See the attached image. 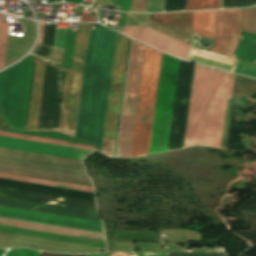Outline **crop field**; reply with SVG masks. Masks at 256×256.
Returning a JSON list of instances; mask_svg holds the SVG:
<instances>
[{
	"instance_id": "obj_9",
	"label": "crop field",
	"mask_w": 256,
	"mask_h": 256,
	"mask_svg": "<svg viewBox=\"0 0 256 256\" xmlns=\"http://www.w3.org/2000/svg\"><path fill=\"white\" fill-rule=\"evenodd\" d=\"M129 38L118 33L101 152L112 157Z\"/></svg>"
},
{
	"instance_id": "obj_22",
	"label": "crop field",
	"mask_w": 256,
	"mask_h": 256,
	"mask_svg": "<svg viewBox=\"0 0 256 256\" xmlns=\"http://www.w3.org/2000/svg\"><path fill=\"white\" fill-rule=\"evenodd\" d=\"M234 57L255 63L256 40L241 37V41Z\"/></svg>"
},
{
	"instance_id": "obj_3",
	"label": "crop field",
	"mask_w": 256,
	"mask_h": 256,
	"mask_svg": "<svg viewBox=\"0 0 256 256\" xmlns=\"http://www.w3.org/2000/svg\"><path fill=\"white\" fill-rule=\"evenodd\" d=\"M45 62L37 58L26 131L74 137L83 75L51 62L47 63L57 66V70L50 126L49 130H37Z\"/></svg>"
},
{
	"instance_id": "obj_17",
	"label": "crop field",
	"mask_w": 256,
	"mask_h": 256,
	"mask_svg": "<svg viewBox=\"0 0 256 256\" xmlns=\"http://www.w3.org/2000/svg\"><path fill=\"white\" fill-rule=\"evenodd\" d=\"M193 12L175 14H150L149 20L191 33Z\"/></svg>"
},
{
	"instance_id": "obj_36",
	"label": "crop field",
	"mask_w": 256,
	"mask_h": 256,
	"mask_svg": "<svg viewBox=\"0 0 256 256\" xmlns=\"http://www.w3.org/2000/svg\"><path fill=\"white\" fill-rule=\"evenodd\" d=\"M40 256H58L56 253H49V252H41ZM59 256H84V255H66V254H59Z\"/></svg>"
},
{
	"instance_id": "obj_21",
	"label": "crop field",
	"mask_w": 256,
	"mask_h": 256,
	"mask_svg": "<svg viewBox=\"0 0 256 256\" xmlns=\"http://www.w3.org/2000/svg\"><path fill=\"white\" fill-rule=\"evenodd\" d=\"M0 177L1 178H7V179H13V180H20V181H26V182H33V183H39V184L52 185V186L65 187V188H71V189L93 192L92 187L83 186V185H76V184L50 181V180H44V179H38V178H31V177L18 176V175H12V174H5V173H0Z\"/></svg>"
},
{
	"instance_id": "obj_4",
	"label": "crop field",
	"mask_w": 256,
	"mask_h": 256,
	"mask_svg": "<svg viewBox=\"0 0 256 256\" xmlns=\"http://www.w3.org/2000/svg\"><path fill=\"white\" fill-rule=\"evenodd\" d=\"M0 171L92 185L79 160L0 148Z\"/></svg>"
},
{
	"instance_id": "obj_19",
	"label": "crop field",
	"mask_w": 256,
	"mask_h": 256,
	"mask_svg": "<svg viewBox=\"0 0 256 256\" xmlns=\"http://www.w3.org/2000/svg\"><path fill=\"white\" fill-rule=\"evenodd\" d=\"M216 11L194 12L192 33L215 39Z\"/></svg>"
},
{
	"instance_id": "obj_39",
	"label": "crop field",
	"mask_w": 256,
	"mask_h": 256,
	"mask_svg": "<svg viewBox=\"0 0 256 256\" xmlns=\"http://www.w3.org/2000/svg\"><path fill=\"white\" fill-rule=\"evenodd\" d=\"M4 251H5V250H1V249H0V256L3 255Z\"/></svg>"
},
{
	"instance_id": "obj_16",
	"label": "crop field",
	"mask_w": 256,
	"mask_h": 256,
	"mask_svg": "<svg viewBox=\"0 0 256 256\" xmlns=\"http://www.w3.org/2000/svg\"><path fill=\"white\" fill-rule=\"evenodd\" d=\"M1 225L65 234L104 241L103 234L0 218Z\"/></svg>"
},
{
	"instance_id": "obj_32",
	"label": "crop field",
	"mask_w": 256,
	"mask_h": 256,
	"mask_svg": "<svg viewBox=\"0 0 256 256\" xmlns=\"http://www.w3.org/2000/svg\"><path fill=\"white\" fill-rule=\"evenodd\" d=\"M147 0H134L132 11L145 12Z\"/></svg>"
},
{
	"instance_id": "obj_2",
	"label": "crop field",
	"mask_w": 256,
	"mask_h": 256,
	"mask_svg": "<svg viewBox=\"0 0 256 256\" xmlns=\"http://www.w3.org/2000/svg\"><path fill=\"white\" fill-rule=\"evenodd\" d=\"M211 69L195 68L185 147L205 145L221 148L227 98L232 97L235 75Z\"/></svg>"
},
{
	"instance_id": "obj_7",
	"label": "crop field",
	"mask_w": 256,
	"mask_h": 256,
	"mask_svg": "<svg viewBox=\"0 0 256 256\" xmlns=\"http://www.w3.org/2000/svg\"><path fill=\"white\" fill-rule=\"evenodd\" d=\"M178 63L175 58L162 61L149 154L167 150Z\"/></svg>"
},
{
	"instance_id": "obj_11",
	"label": "crop field",
	"mask_w": 256,
	"mask_h": 256,
	"mask_svg": "<svg viewBox=\"0 0 256 256\" xmlns=\"http://www.w3.org/2000/svg\"><path fill=\"white\" fill-rule=\"evenodd\" d=\"M241 9L218 11L216 40L212 52L233 56L239 41Z\"/></svg>"
},
{
	"instance_id": "obj_27",
	"label": "crop field",
	"mask_w": 256,
	"mask_h": 256,
	"mask_svg": "<svg viewBox=\"0 0 256 256\" xmlns=\"http://www.w3.org/2000/svg\"><path fill=\"white\" fill-rule=\"evenodd\" d=\"M234 72L243 74V75L256 77V64L240 60L238 65L236 66Z\"/></svg>"
},
{
	"instance_id": "obj_6",
	"label": "crop field",
	"mask_w": 256,
	"mask_h": 256,
	"mask_svg": "<svg viewBox=\"0 0 256 256\" xmlns=\"http://www.w3.org/2000/svg\"><path fill=\"white\" fill-rule=\"evenodd\" d=\"M34 57L0 73V114L11 128L23 130Z\"/></svg>"
},
{
	"instance_id": "obj_31",
	"label": "crop field",
	"mask_w": 256,
	"mask_h": 256,
	"mask_svg": "<svg viewBox=\"0 0 256 256\" xmlns=\"http://www.w3.org/2000/svg\"><path fill=\"white\" fill-rule=\"evenodd\" d=\"M132 0H111L110 6L130 11ZM122 10V11H123Z\"/></svg>"
},
{
	"instance_id": "obj_15",
	"label": "crop field",
	"mask_w": 256,
	"mask_h": 256,
	"mask_svg": "<svg viewBox=\"0 0 256 256\" xmlns=\"http://www.w3.org/2000/svg\"><path fill=\"white\" fill-rule=\"evenodd\" d=\"M27 245H36L38 248H42V249L68 251V252H77V251L93 252V251H99V250H106L102 248L18 235L14 247L27 246Z\"/></svg>"
},
{
	"instance_id": "obj_26",
	"label": "crop field",
	"mask_w": 256,
	"mask_h": 256,
	"mask_svg": "<svg viewBox=\"0 0 256 256\" xmlns=\"http://www.w3.org/2000/svg\"><path fill=\"white\" fill-rule=\"evenodd\" d=\"M219 0H188L186 10L218 8Z\"/></svg>"
},
{
	"instance_id": "obj_14",
	"label": "crop field",
	"mask_w": 256,
	"mask_h": 256,
	"mask_svg": "<svg viewBox=\"0 0 256 256\" xmlns=\"http://www.w3.org/2000/svg\"><path fill=\"white\" fill-rule=\"evenodd\" d=\"M0 206H6V207L101 222L97 212L82 210V209H75V208L37 203V202H31V201H25V200H18V199L6 198V197H0Z\"/></svg>"
},
{
	"instance_id": "obj_30",
	"label": "crop field",
	"mask_w": 256,
	"mask_h": 256,
	"mask_svg": "<svg viewBox=\"0 0 256 256\" xmlns=\"http://www.w3.org/2000/svg\"><path fill=\"white\" fill-rule=\"evenodd\" d=\"M67 29L57 28L54 46L64 50Z\"/></svg>"
},
{
	"instance_id": "obj_12",
	"label": "crop field",
	"mask_w": 256,
	"mask_h": 256,
	"mask_svg": "<svg viewBox=\"0 0 256 256\" xmlns=\"http://www.w3.org/2000/svg\"><path fill=\"white\" fill-rule=\"evenodd\" d=\"M123 34L175 57L185 59L191 46L147 27L124 25Z\"/></svg>"
},
{
	"instance_id": "obj_20",
	"label": "crop field",
	"mask_w": 256,
	"mask_h": 256,
	"mask_svg": "<svg viewBox=\"0 0 256 256\" xmlns=\"http://www.w3.org/2000/svg\"><path fill=\"white\" fill-rule=\"evenodd\" d=\"M193 55H197V56H200V57L208 58V59H211V60H215V61H218V62L230 64V65H232L234 60H235L233 58H229V57H225V56H221V55L201 51V50H198L196 48L193 52ZM193 55L191 56L190 61H194V62H197V63H200V64H204V65H207V66H210V67H214V68H217V69H220V70H224V71H227V72H229V70L231 68L230 65L218 63V62H215V61L207 60V59L200 58V57L193 56Z\"/></svg>"
},
{
	"instance_id": "obj_10",
	"label": "crop field",
	"mask_w": 256,
	"mask_h": 256,
	"mask_svg": "<svg viewBox=\"0 0 256 256\" xmlns=\"http://www.w3.org/2000/svg\"><path fill=\"white\" fill-rule=\"evenodd\" d=\"M0 217L103 233L102 225L98 222L36 213L6 207H0Z\"/></svg>"
},
{
	"instance_id": "obj_5",
	"label": "crop field",
	"mask_w": 256,
	"mask_h": 256,
	"mask_svg": "<svg viewBox=\"0 0 256 256\" xmlns=\"http://www.w3.org/2000/svg\"><path fill=\"white\" fill-rule=\"evenodd\" d=\"M161 57L146 46L130 157L148 154Z\"/></svg>"
},
{
	"instance_id": "obj_18",
	"label": "crop field",
	"mask_w": 256,
	"mask_h": 256,
	"mask_svg": "<svg viewBox=\"0 0 256 256\" xmlns=\"http://www.w3.org/2000/svg\"><path fill=\"white\" fill-rule=\"evenodd\" d=\"M89 26L90 24L79 23L72 59L71 69L82 74L84 69Z\"/></svg>"
},
{
	"instance_id": "obj_38",
	"label": "crop field",
	"mask_w": 256,
	"mask_h": 256,
	"mask_svg": "<svg viewBox=\"0 0 256 256\" xmlns=\"http://www.w3.org/2000/svg\"><path fill=\"white\" fill-rule=\"evenodd\" d=\"M118 255H119V253H111L110 256H118ZM128 255H129V253H120L119 256H128Z\"/></svg>"
},
{
	"instance_id": "obj_29",
	"label": "crop field",
	"mask_w": 256,
	"mask_h": 256,
	"mask_svg": "<svg viewBox=\"0 0 256 256\" xmlns=\"http://www.w3.org/2000/svg\"><path fill=\"white\" fill-rule=\"evenodd\" d=\"M165 0H148L146 12H163Z\"/></svg>"
},
{
	"instance_id": "obj_25",
	"label": "crop field",
	"mask_w": 256,
	"mask_h": 256,
	"mask_svg": "<svg viewBox=\"0 0 256 256\" xmlns=\"http://www.w3.org/2000/svg\"><path fill=\"white\" fill-rule=\"evenodd\" d=\"M8 23H3V14H0V68L4 67Z\"/></svg>"
},
{
	"instance_id": "obj_1",
	"label": "crop field",
	"mask_w": 256,
	"mask_h": 256,
	"mask_svg": "<svg viewBox=\"0 0 256 256\" xmlns=\"http://www.w3.org/2000/svg\"><path fill=\"white\" fill-rule=\"evenodd\" d=\"M117 33L90 27L76 138L100 151Z\"/></svg>"
},
{
	"instance_id": "obj_34",
	"label": "crop field",
	"mask_w": 256,
	"mask_h": 256,
	"mask_svg": "<svg viewBox=\"0 0 256 256\" xmlns=\"http://www.w3.org/2000/svg\"><path fill=\"white\" fill-rule=\"evenodd\" d=\"M168 253H130L129 256H167Z\"/></svg>"
},
{
	"instance_id": "obj_23",
	"label": "crop field",
	"mask_w": 256,
	"mask_h": 256,
	"mask_svg": "<svg viewBox=\"0 0 256 256\" xmlns=\"http://www.w3.org/2000/svg\"><path fill=\"white\" fill-rule=\"evenodd\" d=\"M0 135L93 150V146L0 131Z\"/></svg>"
},
{
	"instance_id": "obj_13",
	"label": "crop field",
	"mask_w": 256,
	"mask_h": 256,
	"mask_svg": "<svg viewBox=\"0 0 256 256\" xmlns=\"http://www.w3.org/2000/svg\"><path fill=\"white\" fill-rule=\"evenodd\" d=\"M0 147L82 160L93 151L0 136Z\"/></svg>"
},
{
	"instance_id": "obj_8",
	"label": "crop field",
	"mask_w": 256,
	"mask_h": 256,
	"mask_svg": "<svg viewBox=\"0 0 256 256\" xmlns=\"http://www.w3.org/2000/svg\"><path fill=\"white\" fill-rule=\"evenodd\" d=\"M145 46L133 41L117 157H129Z\"/></svg>"
},
{
	"instance_id": "obj_37",
	"label": "crop field",
	"mask_w": 256,
	"mask_h": 256,
	"mask_svg": "<svg viewBox=\"0 0 256 256\" xmlns=\"http://www.w3.org/2000/svg\"><path fill=\"white\" fill-rule=\"evenodd\" d=\"M44 26H45V23L41 22L40 23L41 35H40V38H39V41H38V43H40V44H42V41H43Z\"/></svg>"
},
{
	"instance_id": "obj_35",
	"label": "crop field",
	"mask_w": 256,
	"mask_h": 256,
	"mask_svg": "<svg viewBox=\"0 0 256 256\" xmlns=\"http://www.w3.org/2000/svg\"><path fill=\"white\" fill-rule=\"evenodd\" d=\"M81 21L96 22L97 19H96L95 15H85V14H82Z\"/></svg>"
},
{
	"instance_id": "obj_33",
	"label": "crop field",
	"mask_w": 256,
	"mask_h": 256,
	"mask_svg": "<svg viewBox=\"0 0 256 256\" xmlns=\"http://www.w3.org/2000/svg\"><path fill=\"white\" fill-rule=\"evenodd\" d=\"M169 256H226L225 254H205V253H170Z\"/></svg>"
},
{
	"instance_id": "obj_28",
	"label": "crop field",
	"mask_w": 256,
	"mask_h": 256,
	"mask_svg": "<svg viewBox=\"0 0 256 256\" xmlns=\"http://www.w3.org/2000/svg\"><path fill=\"white\" fill-rule=\"evenodd\" d=\"M37 253L36 250L28 248H18V249H9L6 256H35ZM40 251H38L36 256H39Z\"/></svg>"
},
{
	"instance_id": "obj_24",
	"label": "crop field",
	"mask_w": 256,
	"mask_h": 256,
	"mask_svg": "<svg viewBox=\"0 0 256 256\" xmlns=\"http://www.w3.org/2000/svg\"><path fill=\"white\" fill-rule=\"evenodd\" d=\"M242 31L256 33V8L243 10Z\"/></svg>"
}]
</instances>
